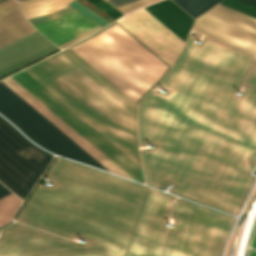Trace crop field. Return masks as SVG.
<instances>
[{
	"label": "crop field",
	"mask_w": 256,
	"mask_h": 256,
	"mask_svg": "<svg viewBox=\"0 0 256 256\" xmlns=\"http://www.w3.org/2000/svg\"><path fill=\"white\" fill-rule=\"evenodd\" d=\"M199 37L190 34L158 84L169 93L152 90L139 103L140 146L155 145L142 150L147 180L237 216L254 181L256 62L238 96L254 56L208 38L197 45Z\"/></svg>",
	"instance_id": "crop-field-1"
},
{
	"label": "crop field",
	"mask_w": 256,
	"mask_h": 256,
	"mask_svg": "<svg viewBox=\"0 0 256 256\" xmlns=\"http://www.w3.org/2000/svg\"><path fill=\"white\" fill-rule=\"evenodd\" d=\"M15 220L3 230L0 256H126L149 189L57 157Z\"/></svg>",
	"instance_id": "crop-field-2"
},
{
	"label": "crop field",
	"mask_w": 256,
	"mask_h": 256,
	"mask_svg": "<svg viewBox=\"0 0 256 256\" xmlns=\"http://www.w3.org/2000/svg\"><path fill=\"white\" fill-rule=\"evenodd\" d=\"M24 70L141 166L137 104L72 50Z\"/></svg>",
	"instance_id": "crop-field-3"
},
{
	"label": "crop field",
	"mask_w": 256,
	"mask_h": 256,
	"mask_svg": "<svg viewBox=\"0 0 256 256\" xmlns=\"http://www.w3.org/2000/svg\"><path fill=\"white\" fill-rule=\"evenodd\" d=\"M173 196L150 189L127 256H159ZM162 256H220L235 219L183 199H175Z\"/></svg>",
	"instance_id": "crop-field-4"
},
{
	"label": "crop field",
	"mask_w": 256,
	"mask_h": 256,
	"mask_svg": "<svg viewBox=\"0 0 256 256\" xmlns=\"http://www.w3.org/2000/svg\"><path fill=\"white\" fill-rule=\"evenodd\" d=\"M118 25H110V28L98 32V35H93V38H88L72 50L136 102L169 65H165L163 60L165 64ZM169 68L148 91L165 76Z\"/></svg>",
	"instance_id": "crop-field-5"
},
{
	"label": "crop field",
	"mask_w": 256,
	"mask_h": 256,
	"mask_svg": "<svg viewBox=\"0 0 256 256\" xmlns=\"http://www.w3.org/2000/svg\"><path fill=\"white\" fill-rule=\"evenodd\" d=\"M14 79L23 85L27 90H29L33 95H35L58 116H60L65 122H67L71 127L79 132L84 138H86L90 143H92L96 148L104 153L127 174L140 180L142 177V181L135 179L136 181H144L143 176L141 175L140 177L139 172H137L133 167H131L127 162H125L121 157H119L115 152H113L109 147H107L103 142H101L97 137H95L61 107H59L31 82H29L25 77L20 74L14 77ZM15 80L9 77L2 80V82L5 83L9 88H11L15 93H17L21 98H23L27 103H29L33 108H35L39 113H41L45 118H47L58 129H60L64 134H66L70 139H72L76 144H78L82 149H84L110 172L132 179L99 150H97L93 145H91L87 140H85L81 135H79L75 130H73L69 125H67L63 120H61L57 115H55L51 110H49L45 105H43L39 100H37L33 95H31L27 90H25L21 85H19Z\"/></svg>",
	"instance_id": "crop-field-6"
},
{
	"label": "crop field",
	"mask_w": 256,
	"mask_h": 256,
	"mask_svg": "<svg viewBox=\"0 0 256 256\" xmlns=\"http://www.w3.org/2000/svg\"><path fill=\"white\" fill-rule=\"evenodd\" d=\"M0 113L40 146L67 158L106 170L1 81Z\"/></svg>",
	"instance_id": "crop-field-7"
},
{
	"label": "crop field",
	"mask_w": 256,
	"mask_h": 256,
	"mask_svg": "<svg viewBox=\"0 0 256 256\" xmlns=\"http://www.w3.org/2000/svg\"><path fill=\"white\" fill-rule=\"evenodd\" d=\"M52 157L0 117V181L18 196L24 199Z\"/></svg>",
	"instance_id": "crop-field-8"
},
{
	"label": "crop field",
	"mask_w": 256,
	"mask_h": 256,
	"mask_svg": "<svg viewBox=\"0 0 256 256\" xmlns=\"http://www.w3.org/2000/svg\"><path fill=\"white\" fill-rule=\"evenodd\" d=\"M192 29L256 55L254 18L217 4L199 16Z\"/></svg>",
	"instance_id": "crop-field-9"
},
{
	"label": "crop field",
	"mask_w": 256,
	"mask_h": 256,
	"mask_svg": "<svg viewBox=\"0 0 256 256\" xmlns=\"http://www.w3.org/2000/svg\"><path fill=\"white\" fill-rule=\"evenodd\" d=\"M116 22L170 66L184 44L144 8Z\"/></svg>",
	"instance_id": "crop-field-10"
},
{
	"label": "crop field",
	"mask_w": 256,
	"mask_h": 256,
	"mask_svg": "<svg viewBox=\"0 0 256 256\" xmlns=\"http://www.w3.org/2000/svg\"><path fill=\"white\" fill-rule=\"evenodd\" d=\"M49 45L54 46L49 41H47L44 37H42L37 31L18 40V41H15V42L0 49V69L6 67L8 65H11V64L37 52ZM53 49H55V48L49 46V47L11 65L9 67H6V68L0 70V76L37 58V57H39V56H41V55H43V54H45V53H47V52H49V51H51V50H53ZM56 50H58V48L29 62V63H32L44 56L56 51ZM29 63H27V64H29ZM27 64H25V65H27ZM25 65H23V66H25ZM23 66H21V67H23ZM21 67H19V68H21ZM19 68H17V69H19ZM17 69H15V70H17ZM15 70H13V71H15ZM13 71H11V72H13ZM11 72H9V73H11ZM9 73H7V74H9ZM7 74H5V75H7ZM5 75H3V76H5ZM3 76H1V77H3Z\"/></svg>",
	"instance_id": "crop-field-11"
},
{
	"label": "crop field",
	"mask_w": 256,
	"mask_h": 256,
	"mask_svg": "<svg viewBox=\"0 0 256 256\" xmlns=\"http://www.w3.org/2000/svg\"><path fill=\"white\" fill-rule=\"evenodd\" d=\"M98 24L73 10L54 19L35 24V28L57 46ZM84 34V33H83Z\"/></svg>",
	"instance_id": "crop-field-12"
},
{
	"label": "crop field",
	"mask_w": 256,
	"mask_h": 256,
	"mask_svg": "<svg viewBox=\"0 0 256 256\" xmlns=\"http://www.w3.org/2000/svg\"><path fill=\"white\" fill-rule=\"evenodd\" d=\"M33 31L15 0L0 2V48Z\"/></svg>",
	"instance_id": "crop-field-13"
},
{
	"label": "crop field",
	"mask_w": 256,
	"mask_h": 256,
	"mask_svg": "<svg viewBox=\"0 0 256 256\" xmlns=\"http://www.w3.org/2000/svg\"><path fill=\"white\" fill-rule=\"evenodd\" d=\"M145 9L185 42L193 22L187 13L170 0H163Z\"/></svg>",
	"instance_id": "crop-field-14"
},
{
	"label": "crop field",
	"mask_w": 256,
	"mask_h": 256,
	"mask_svg": "<svg viewBox=\"0 0 256 256\" xmlns=\"http://www.w3.org/2000/svg\"><path fill=\"white\" fill-rule=\"evenodd\" d=\"M22 72H24V70L20 73ZM22 75H24L28 80H30L34 85H36L40 90H42L46 95H48L52 100H54L58 105H60L64 110H66L70 115H72L76 120H78L82 125H84L88 130H90L94 135H96L100 140H102L106 145H108L112 150H114L118 155H120L124 160H126L130 165L139 171L137 164H135L131 159H129L125 154H123L119 149H117L113 144H111L107 139H105L101 134H99L95 129H93L89 124H87L83 119H81L77 114H75L71 109H69L65 104L57 99L53 94H51L29 74L24 72ZM140 171L143 175L142 168H140Z\"/></svg>",
	"instance_id": "crop-field-15"
},
{
	"label": "crop field",
	"mask_w": 256,
	"mask_h": 256,
	"mask_svg": "<svg viewBox=\"0 0 256 256\" xmlns=\"http://www.w3.org/2000/svg\"><path fill=\"white\" fill-rule=\"evenodd\" d=\"M193 17L198 16L220 0H173Z\"/></svg>",
	"instance_id": "crop-field-16"
},
{
	"label": "crop field",
	"mask_w": 256,
	"mask_h": 256,
	"mask_svg": "<svg viewBox=\"0 0 256 256\" xmlns=\"http://www.w3.org/2000/svg\"><path fill=\"white\" fill-rule=\"evenodd\" d=\"M21 201L13 194L0 200V226L9 222Z\"/></svg>",
	"instance_id": "crop-field-17"
},
{
	"label": "crop field",
	"mask_w": 256,
	"mask_h": 256,
	"mask_svg": "<svg viewBox=\"0 0 256 256\" xmlns=\"http://www.w3.org/2000/svg\"><path fill=\"white\" fill-rule=\"evenodd\" d=\"M219 4L256 18V7L238 0H223Z\"/></svg>",
	"instance_id": "crop-field-18"
},
{
	"label": "crop field",
	"mask_w": 256,
	"mask_h": 256,
	"mask_svg": "<svg viewBox=\"0 0 256 256\" xmlns=\"http://www.w3.org/2000/svg\"><path fill=\"white\" fill-rule=\"evenodd\" d=\"M69 6L75 8L80 13H82V14L90 17L94 21L100 23L103 27L106 26L107 24H109L107 21H105L104 19H102L101 17H99L98 15H96L95 13H93L92 11L88 10L87 8L83 7L82 5H80L79 3L75 2V1H73L71 4H69Z\"/></svg>",
	"instance_id": "crop-field-19"
},
{
	"label": "crop field",
	"mask_w": 256,
	"mask_h": 256,
	"mask_svg": "<svg viewBox=\"0 0 256 256\" xmlns=\"http://www.w3.org/2000/svg\"><path fill=\"white\" fill-rule=\"evenodd\" d=\"M88 1L91 2L92 4L96 5L97 7H99L103 11H105L106 13L110 14L111 16H113L116 19L123 16V14H121L120 12H118L117 10H115L114 8H112L111 6H109L108 4L103 2L102 0H88Z\"/></svg>",
	"instance_id": "crop-field-20"
},
{
	"label": "crop field",
	"mask_w": 256,
	"mask_h": 256,
	"mask_svg": "<svg viewBox=\"0 0 256 256\" xmlns=\"http://www.w3.org/2000/svg\"><path fill=\"white\" fill-rule=\"evenodd\" d=\"M73 10L71 7L67 6L57 12H54L52 14H49V15H45V16H41V17H37V18H33V19H29V22L34 24V23H38V22H42V21H45V20H48V19H51V18H54L56 16H59V15H62L66 12H69Z\"/></svg>",
	"instance_id": "crop-field-21"
},
{
	"label": "crop field",
	"mask_w": 256,
	"mask_h": 256,
	"mask_svg": "<svg viewBox=\"0 0 256 256\" xmlns=\"http://www.w3.org/2000/svg\"><path fill=\"white\" fill-rule=\"evenodd\" d=\"M100 28H102V27H100L98 25V26L92 28L91 30L85 32L84 34H82V35H80V36H78V37H76V38H74V39H72V40H70V41L60 45L59 47L61 49L65 48V47H68V46H70V45H72V44H74V43H76V42L86 38L87 36L91 35L92 33H94L95 31L99 30Z\"/></svg>",
	"instance_id": "crop-field-22"
},
{
	"label": "crop field",
	"mask_w": 256,
	"mask_h": 256,
	"mask_svg": "<svg viewBox=\"0 0 256 256\" xmlns=\"http://www.w3.org/2000/svg\"><path fill=\"white\" fill-rule=\"evenodd\" d=\"M108 3L113 5L114 7L118 8L135 0H106Z\"/></svg>",
	"instance_id": "crop-field-23"
},
{
	"label": "crop field",
	"mask_w": 256,
	"mask_h": 256,
	"mask_svg": "<svg viewBox=\"0 0 256 256\" xmlns=\"http://www.w3.org/2000/svg\"><path fill=\"white\" fill-rule=\"evenodd\" d=\"M11 194L5 187L0 184V199Z\"/></svg>",
	"instance_id": "crop-field-24"
},
{
	"label": "crop field",
	"mask_w": 256,
	"mask_h": 256,
	"mask_svg": "<svg viewBox=\"0 0 256 256\" xmlns=\"http://www.w3.org/2000/svg\"><path fill=\"white\" fill-rule=\"evenodd\" d=\"M241 1L251 4L253 6H256V0H241Z\"/></svg>",
	"instance_id": "crop-field-25"
},
{
	"label": "crop field",
	"mask_w": 256,
	"mask_h": 256,
	"mask_svg": "<svg viewBox=\"0 0 256 256\" xmlns=\"http://www.w3.org/2000/svg\"><path fill=\"white\" fill-rule=\"evenodd\" d=\"M251 247H253V248H255V249H256V230H255V234H254V238H253V241H252Z\"/></svg>",
	"instance_id": "crop-field-26"
},
{
	"label": "crop field",
	"mask_w": 256,
	"mask_h": 256,
	"mask_svg": "<svg viewBox=\"0 0 256 256\" xmlns=\"http://www.w3.org/2000/svg\"><path fill=\"white\" fill-rule=\"evenodd\" d=\"M248 256H256V251L253 249H250Z\"/></svg>",
	"instance_id": "crop-field-27"
}]
</instances>
